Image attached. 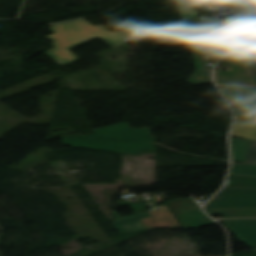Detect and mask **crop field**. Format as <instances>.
<instances>
[{
	"mask_svg": "<svg viewBox=\"0 0 256 256\" xmlns=\"http://www.w3.org/2000/svg\"><path fill=\"white\" fill-rule=\"evenodd\" d=\"M50 29L54 34L46 37L55 47L43 54L62 66L80 60L70 49L97 37L111 47L135 40L125 31L111 32L102 25L94 27L84 19L53 25Z\"/></svg>",
	"mask_w": 256,
	"mask_h": 256,
	"instance_id": "1",
	"label": "crop field"
},
{
	"mask_svg": "<svg viewBox=\"0 0 256 256\" xmlns=\"http://www.w3.org/2000/svg\"><path fill=\"white\" fill-rule=\"evenodd\" d=\"M94 134L63 138L68 146L98 149L121 154L154 153L155 136L148 128L135 129L127 123L93 130Z\"/></svg>",
	"mask_w": 256,
	"mask_h": 256,
	"instance_id": "2",
	"label": "crop field"
},
{
	"mask_svg": "<svg viewBox=\"0 0 256 256\" xmlns=\"http://www.w3.org/2000/svg\"><path fill=\"white\" fill-rule=\"evenodd\" d=\"M205 39L207 41L206 43H204L202 46L193 48L196 71L187 82L189 84H212V70L206 69L203 51L228 49L229 47L227 37L221 25H219L211 34L205 37Z\"/></svg>",
	"mask_w": 256,
	"mask_h": 256,
	"instance_id": "3",
	"label": "crop field"
},
{
	"mask_svg": "<svg viewBox=\"0 0 256 256\" xmlns=\"http://www.w3.org/2000/svg\"><path fill=\"white\" fill-rule=\"evenodd\" d=\"M170 207L183 228L199 227L216 224L207 218L192 198H182L165 202Z\"/></svg>",
	"mask_w": 256,
	"mask_h": 256,
	"instance_id": "4",
	"label": "crop field"
},
{
	"mask_svg": "<svg viewBox=\"0 0 256 256\" xmlns=\"http://www.w3.org/2000/svg\"><path fill=\"white\" fill-rule=\"evenodd\" d=\"M205 209L256 207V189L224 188Z\"/></svg>",
	"mask_w": 256,
	"mask_h": 256,
	"instance_id": "5",
	"label": "crop field"
},
{
	"mask_svg": "<svg viewBox=\"0 0 256 256\" xmlns=\"http://www.w3.org/2000/svg\"><path fill=\"white\" fill-rule=\"evenodd\" d=\"M231 71H216L217 84L255 86L249 72L240 57L228 60Z\"/></svg>",
	"mask_w": 256,
	"mask_h": 256,
	"instance_id": "6",
	"label": "crop field"
},
{
	"mask_svg": "<svg viewBox=\"0 0 256 256\" xmlns=\"http://www.w3.org/2000/svg\"><path fill=\"white\" fill-rule=\"evenodd\" d=\"M223 224L246 245H256V219L224 220Z\"/></svg>",
	"mask_w": 256,
	"mask_h": 256,
	"instance_id": "7",
	"label": "crop field"
},
{
	"mask_svg": "<svg viewBox=\"0 0 256 256\" xmlns=\"http://www.w3.org/2000/svg\"><path fill=\"white\" fill-rule=\"evenodd\" d=\"M239 106L234 110L238 117L256 119V87L238 86Z\"/></svg>",
	"mask_w": 256,
	"mask_h": 256,
	"instance_id": "8",
	"label": "crop field"
},
{
	"mask_svg": "<svg viewBox=\"0 0 256 256\" xmlns=\"http://www.w3.org/2000/svg\"><path fill=\"white\" fill-rule=\"evenodd\" d=\"M153 218L142 220L146 229L153 228H180L174 216L170 213L168 208L160 207L150 211Z\"/></svg>",
	"mask_w": 256,
	"mask_h": 256,
	"instance_id": "9",
	"label": "crop field"
},
{
	"mask_svg": "<svg viewBox=\"0 0 256 256\" xmlns=\"http://www.w3.org/2000/svg\"><path fill=\"white\" fill-rule=\"evenodd\" d=\"M113 214L116 217V220L114 221L113 224L117 228L120 234L135 232V231H138L139 229H144V226L140 219L151 217L149 212L128 216V217H123V218H120L116 214V212Z\"/></svg>",
	"mask_w": 256,
	"mask_h": 256,
	"instance_id": "10",
	"label": "crop field"
},
{
	"mask_svg": "<svg viewBox=\"0 0 256 256\" xmlns=\"http://www.w3.org/2000/svg\"><path fill=\"white\" fill-rule=\"evenodd\" d=\"M231 136L256 141V121L236 119Z\"/></svg>",
	"mask_w": 256,
	"mask_h": 256,
	"instance_id": "11",
	"label": "crop field"
},
{
	"mask_svg": "<svg viewBox=\"0 0 256 256\" xmlns=\"http://www.w3.org/2000/svg\"><path fill=\"white\" fill-rule=\"evenodd\" d=\"M209 215L222 214L225 218L256 217V208L205 210Z\"/></svg>",
	"mask_w": 256,
	"mask_h": 256,
	"instance_id": "12",
	"label": "crop field"
},
{
	"mask_svg": "<svg viewBox=\"0 0 256 256\" xmlns=\"http://www.w3.org/2000/svg\"><path fill=\"white\" fill-rule=\"evenodd\" d=\"M249 142L250 141L247 140L231 138V151L233 161L241 163L245 162Z\"/></svg>",
	"mask_w": 256,
	"mask_h": 256,
	"instance_id": "13",
	"label": "crop field"
},
{
	"mask_svg": "<svg viewBox=\"0 0 256 256\" xmlns=\"http://www.w3.org/2000/svg\"><path fill=\"white\" fill-rule=\"evenodd\" d=\"M255 23H256V11L224 21V24L228 31L237 29L240 27H244L247 25L255 24Z\"/></svg>",
	"mask_w": 256,
	"mask_h": 256,
	"instance_id": "14",
	"label": "crop field"
},
{
	"mask_svg": "<svg viewBox=\"0 0 256 256\" xmlns=\"http://www.w3.org/2000/svg\"><path fill=\"white\" fill-rule=\"evenodd\" d=\"M225 187L256 188V177L229 175Z\"/></svg>",
	"mask_w": 256,
	"mask_h": 256,
	"instance_id": "15",
	"label": "crop field"
},
{
	"mask_svg": "<svg viewBox=\"0 0 256 256\" xmlns=\"http://www.w3.org/2000/svg\"><path fill=\"white\" fill-rule=\"evenodd\" d=\"M239 53L244 56L256 53V34L235 40Z\"/></svg>",
	"mask_w": 256,
	"mask_h": 256,
	"instance_id": "16",
	"label": "crop field"
},
{
	"mask_svg": "<svg viewBox=\"0 0 256 256\" xmlns=\"http://www.w3.org/2000/svg\"><path fill=\"white\" fill-rule=\"evenodd\" d=\"M182 17V21L195 18L198 15L197 7L189 0H176Z\"/></svg>",
	"mask_w": 256,
	"mask_h": 256,
	"instance_id": "17",
	"label": "crop field"
},
{
	"mask_svg": "<svg viewBox=\"0 0 256 256\" xmlns=\"http://www.w3.org/2000/svg\"><path fill=\"white\" fill-rule=\"evenodd\" d=\"M229 174L256 176V166L232 164Z\"/></svg>",
	"mask_w": 256,
	"mask_h": 256,
	"instance_id": "18",
	"label": "crop field"
},
{
	"mask_svg": "<svg viewBox=\"0 0 256 256\" xmlns=\"http://www.w3.org/2000/svg\"><path fill=\"white\" fill-rule=\"evenodd\" d=\"M228 102L238 101L237 86H218Z\"/></svg>",
	"mask_w": 256,
	"mask_h": 256,
	"instance_id": "19",
	"label": "crop field"
},
{
	"mask_svg": "<svg viewBox=\"0 0 256 256\" xmlns=\"http://www.w3.org/2000/svg\"><path fill=\"white\" fill-rule=\"evenodd\" d=\"M200 21H202V20L197 17V18H195V19H191V20L187 21V24L190 25L193 29H196L197 26L194 25L193 23L200 22ZM203 22H204L212 31L220 24V23L218 22V20L215 19L214 17L209 18V19H207V20H204ZM213 25H216V27H213Z\"/></svg>",
	"mask_w": 256,
	"mask_h": 256,
	"instance_id": "20",
	"label": "crop field"
},
{
	"mask_svg": "<svg viewBox=\"0 0 256 256\" xmlns=\"http://www.w3.org/2000/svg\"><path fill=\"white\" fill-rule=\"evenodd\" d=\"M243 61L252 78L256 77V54L247 58H243Z\"/></svg>",
	"mask_w": 256,
	"mask_h": 256,
	"instance_id": "21",
	"label": "crop field"
},
{
	"mask_svg": "<svg viewBox=\"0 0 256 256\" xmlns=\"http://www.w3.org/2000/svg\"><path fill=\"white\" fill-rule=\"evenodd\" d=\"M245 164L256 165V142H250Z\"/></svg>",
	"mask_w": 256,
	"mask_h": 256,
	"instance_id": "22",
	"label": "crop field"
},
{
	"mask_svg": "<svg viewBox=\"0 0 256 256\" xmlns=\"http://www.w3.org/2000/svg\"><path fill=\"white\" fill-rule=\"evenodd\" d=\"M226 50L204 52L207 63H216V61L225 54Z\"/></svg>",
	"mask_w": 256,
	"mask_h": 256,
	"instance_id": "23",
	"label": "crop field"
},
{
	"mask_svg": "<svg viewBox=\"0 0 256 256\" xmlns=\"http://www.w3.org/2000/svg\"><path fill=\"white\" fill-rule=\"evenodd\" d=\"M241 9L247 11V12H251L256 10V0H246L244 2V5L240 6Z\"/></svg>",
	"mask_w": 256,
	"mask_h": 256,
	"instance_id": "24",
	"label": "crop field"
},
{
	"mask_svg": "<svg viewBox=\"0 0 256 256\" xmlns=\"http://www.w3.org/2000/svg\"><path fill=\"white\" fill-rule=\"evenodd\" d=\"M249 249H250L251 252H255L256 251V246L249 247Z\"/></svg>",
	"mask_w": 256,
	"mask_h": 256,
	"instance_id": "25",
	"label": "crop field"
},
{
	"mask_svg": "<svg viewBox=\"0 0 256 256\" xmlns=\"http://www.w3.org/2000/svg\"><path fill=\"white\" fill-rule=\"evenodd\" d=\"M254 81H255V83H256V78H254Z\"/></svg>",
	"mask_w": 256,
	"mask_h": 256,
	"instance_id": "26",
	"label": "crop field"
},
{
	"mask_svg": "<svg viewBox=\"0 0 256 256\" xmlns=\"http://www.w3.org/2000/svg\"><path fill=\"white\" fill-rule=\"evenodd\" d=\"M236 1L240 2V1H242V0H236Z\"/></svg>",
	"mask_w": 256,
	"mask_h": 256,
	"instance_id": "27",
	"label": "crop field"
}]
</instances>
